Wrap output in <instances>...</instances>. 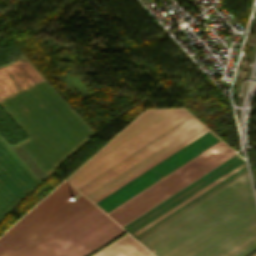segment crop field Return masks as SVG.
Here are the masks:
<instances>
[{"label": "crop field", "mask_w": 256, "mask_h": 256, "mask_svg": "<svg viewBox=\"0 0 256 256\" xmlns=\"http://www.w3.org/2000/svg\"><path fill=\"white\" fill-rule=\"evenodd\" d=\"M156 256H246L256 250L248 172L138 239Z\"/></svg>", "instance_id": "crop-field-1"}, {"label": "crop field", "mask_w": 256, "mask_h": 256, "mask_svg": "<svg viewBox=\"0 0 256 256\" xmlns=\"http://www.w3.org/2000/svg\"><path fill=\"white\" fill-rule=\"evenodd\" d=\"M218 141L206 128L92 202L107 213ZM234 154L220 141L107 214L122 226Z\"/></svg>", "instance_id": "crop-field-2"}, {"label": "crop field", "mask_w": 256, "mask_h": 256, "mask_svg": "<svg viewBox=\"0 0 256 256\" xmlns=\"http://www.w3.org/2000/svg\"><path fill=\"white\" fill-rule=\"evenodd\" d=\"M30 138L19 142L49 174L93 133L43 79L0 98Z\"/></svg>", "instance_id": "crop-field-3"}, {"label": "crop field", "mask_w": 256, "mask_h": 256, "mask_svg": "<svg viewBox=\"0 0 256 256\" xmlns=\"http://www.w3.org/2000/svg\"><path fill=\"white\" fill-rule=\"evenodd\" d=\"M191 116L184 109L147 110L66 179L76 188Z\"/></svg>", "instance_id": "crop-field-4"}, {"label": "crop field", "mask_w": 256, "mask_h": 256, "mask_svg": "<svg viewBox=\"0 0 256 256\" xmlns=\"http://www.w3.org/2000/svg\"><path fill=\"white\" fill-rule=\"evenodd\" d=\"M245 171L236 154L122 227L138 239Z\"/></svg>", "instance_id": "crop-field-5"}, {"label": "crop field", "mask_w": 256, "mask_h": 256, "mask_svg": "<svg viewBox=\"0 0 256 256\" xmlns=\"http://www.w3.org/2000/svg\"><path fill=\"white\" fill-rule=\"evenodd\" d=\"M122 231L96 207L21 256H84Z\"/></svg>", "instance_id": "crop-field-6"}, {"label": "crop field", "mask_w": 256, "mask_h": 256, "mask_svg": "<svg viewBox=\"0 0 256 256\" xmlns=\"http://www.w3.org/2000/svg\"><path fill=\"white\" fill-rule=\"evenodd\" d=\"M204 128L191 116L77 189L91 200Z\"/></svg>", "instance_id": "crop-field-7"}, {"label": "crop field", "mask_w": 256, "mask_h": 256, "mask_svg": "<svg viewBox=\"0 0 256 256\" xmlns=\"http://www.w3.org/2000/svg\"><path fill=\"white\" fill-rule=\"evenodd\" d=\"M39 182L0 138V218Z\"/></svg>", "instance_id": "crop-field-8"}, {"label": "crop field", "mask_w": 256, "mask_h": 256, "mask_svg": "<svg viewBox=\"0 0 256 256\" xmlns=\"http://www.w3.org/2000/svg\"><path fill=\"white\" fill-rule=\"evenodd\" d=\"M77 201L0 250V256H19L96 207L83 195Z\"/></svg>", "instance_id": "crop-field-9"}, {"label": "crop field", "mask_w": 256, "mask_h": 256, "mask_svg": "<svg viewBox=\"0 0 256 256\" xmlns=\"http://www.w3.org/2000/svg\"><path fill=\"white\" fill-rule=\"evenodd\" d=\"M77 193L79 192L64 181L24 218L22 217L23 219H21L15 226L13 225L14 227H12L7 233L5 232L6 234L0 238V249L69 204L73 203L69 198Z\"/></svg>", "instance_id": "crop-field-10"}, {"label": "crop field", "mask_w": 256, "mask_h": 256, "mask_svg": "<svg viewBox=\"0 0 256 256\" xmlns=\"http://www.w3.org/2000/svg\"><path fill=\"white\" fill-rule=\"evenodd\" d=\"M94 256H154L129 234Z\"/></svg>", "instance_id": "crop-field-11"}, {"label": "crop field", "mask_w": 256, "mask_h": 256, "mask_svg": "<svg viewBox=\"0 0 256 256\" xmlns=\"http://www.w3.org/2000/svg\"><path fill=\"white\" fill-rule=\"evenodd\" d=\"M253 256H256V254H255V255H253Z\"/></svg>", "instance_id": "crop-field-12"}]
</instances>
